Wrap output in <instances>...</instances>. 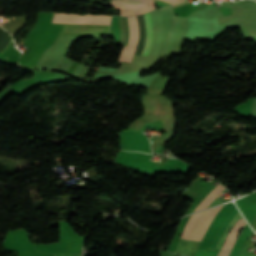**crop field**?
<instances>
[{
    "label": "crop field",
    "instance_id": "6",
    "mask_svg": "<svg viewBox=\"0 0 256 256\" xmlns=\"http://www.w3.org/2000/svg\"><path fill=\"white\" fill-rule=\"evenodd\" d=\"M144 18H145V24H146V30H147V38H146V43H145V47H144L142 55L147 56L148 49H149V46H150L151 40H152V29H151V21H150L149 14L145 13Z\"/></svg>",
    "mask_w": 256,
    "mask_h": 256
},
{
    "label": "crop field",
    "instance_id": "2",
    "mask_svg": "<svg viewBox=\"0 0 256 256\" xmlns=\"http://www.w3.org/2000/svg\"><path fill=\"white\" fill-rule=\"evenodd\" d=\"M109 6L121 10V15H137L156 8L153 0H112Z\"/></svg>",
    "mask_w": 256,
    "mask_h": 256
},
{
    "label": "crop field",
    "instance_id": "8",
    "mask_svg": "<svg viewBox=\"0 0 256 256\" xmlns=\"http://www.w3.org/2000/svg\"><path fill=\"white\" fill-rule=\"evenodd\" d=\"M240 217H241V215H240V213L238 212V213L235 215V217L231 220L229 226H228V227L226 228V230L224 231V233H223V235H222V237H221V239H220V241H219V243H218L216 249L221 248V246H222V244H223V242H224V240H225V238H226V236H227L229 230L232 228V226L235 224V222H236Z\"/></svg>",
    "mask_w": 256,
    "mask_h": 256
},
{
    "label": "crop field",
    "instance_id": "5",
    "mask_svg": "<svg viewBox=\"0 0 256 256\" xmlns=\"http://www.w3.org/2000/svg\"><path fill=\"white\" fill-rule=\"evenodd\" d=\"M246 224L245 220L243 219V217H241L236 224L233 226V228L230 230L223 246H222V250L220 251L218 256H228L231 248L233 247L237 235L240 231V229H242V227Z\"/></svg>",
    "mask_w": 256,
    "mask_h": 256
},
{
    "label": "crop field",
    "instance_id": "7",
    "mask_svg": "<svg viewBox=\"0 0 256 256\" xmlns=\"http://www.w3.org/2000/svg\"><path fill=\"white\" fill-rule=\"evenodd\" d=\"M224 186L220 183L206 196V198L197 206L194 211L203 209L223 188Z\"/></svg>",
    "mask_w": 256,
    "mask_h": 256
},
{
    "label": "crop field",
    "instance_id": "3",
    "mask_svg": "<svg viewBox=\"0 0 256 256\" xmlns=\"http://www.w3.org/2000/svg\"><path fill=\"white\" fill-rule=\"evenodd\" d=\"M111 16L55 13L54 23L109 24Z\"/></svg>",
    "mask_w": 256,
    "mask_h": 256
},
{
    "label": "crop field",
    "instance_id": "4",
    "mask_svg": "<svg viewBox=\"0 0 256 256\" xmlns=\"http://www.w3.org/2000/svg\"><path fill=\"white\" fill-rule=\"evenodd\" d=\"M130 38L127 47H124L118 61L130 62L138 41V25L136 16L128 17Z\"/></svg>",
    "mask_w": 256,
    "mask_h": 256
},
{
    "label": "crop field",
    "instance_id": "1",
    "mask_svg": "<svg viewBox=\"0 0 256 256\" xmlns=\"http://www.w3.org/2000/svg\"><path fill=\"white\" fill-rule=\"evenodd\" d=\"M222 206L216 207L211 210L204 211V212H202V214L197 213V214L191 215L190 219L188 220V222L183 230L181 239L187 240L190 232L192 231L194 225L196 224V222L201 214L197 224L195 225L192 233L190 234V236L188 238V240L200 242L202 240L209 224L211 223L213 217L220 210V208Z\"/></svg>",
    "mask_w": 256,
    "mask_h": 256
},
{
    "label": "crop field",
    "instance_id": "9",
    "mask_svg": "<svg viewBox=\"0 0 256 256\" xmlns=\"http://www.w3.org/2000/svg\"><path fill=\"white\" fill-rule=\"evenodd\" d=\"M162 1H165V2H168V3H171V4L176 3L174 0H162ZM176 1L179 2V1H182V0H176Z\"/></svg>",
    "mask_w": 256,
    "mask_h": 256
}]
</instances>
